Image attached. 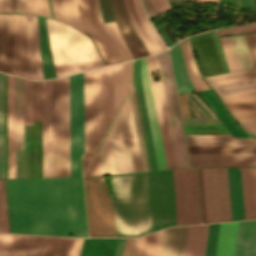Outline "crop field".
Wrapping results in <instances>:
<instances>
[{"label": "crop field", "mask_w": 256, "mask_h": 256, "mask_svg": "<svg viewBox=\"0 0 256 256\" xmlns=\"http://www.w3.org/2000/svg\"><path fill=\"white\" fill-rule=\"evenodd\" d=\"M135 2V6H136V10L138 13V16L144 26V28L146 29V31L148 32V34L151 36V38L153 39V41L155 42V44L158 46V48L161 50L165 49V46L163 45L162 41L160 40V38L158 37V35L155 33L153 27L151 26L149 20L147 19L140 0H134Z\"/></svg>", "instance_id": "crop-field-46"}, {"label": "crop field", "mask_w": 256, "mask_h": 256, "mask_svg": "<svg viewBox=\"0 0 256 256\" xmlns=\"http://www.w3.org/2000/svg\"><path fill=\"white\" fill-rule=\"evenodd\" d=\"M110 2L116 23L134 58L149 55L132 28L124 0H110Z\"/></svg>", "instance_id": "crop-field-17"}, {"label": "crop field", "mask_w": 256, "mask_h": 256, "mask_svg": "<svg viewBox=\"0 0 256 256\" xmlns=\"http://www.w3.org/2000/svg\"><path fill=\"white\" fill-rule=\"evenodd\" d=\"M238 222L220 223L215 256H233Z\"/></svg>", "instance_id": "crop-field-34"}, {"label": "crop field", "mask_w": 256, "mask_h": 256, "mask_svg": "<svg viewBox=\"0 0 256 256\" xmlns=\"http://www.w3.org/2000/svg\"><path fill=\"white\" fill-rule=\"evenodd\" d=\"M46 22L57 77L104 65L86 34L60 21Z\"/></svg>", "instance_id": "crop-field-4"}, {"label": "crop field", "mask_w": 256, "mask_h": 256, "mask_svg": "<svg viewBox=\"0 0 256 256\" xmlns=\"http://www.w3.org/2000/svg\"><path fill=\"white\" fill-rule=\"evenodd\" d=\"M234 256H256V221L239 222Z\"/></svg>", "instance_id": "crop-field-26"}, {"label": "crop field", "mask_w": 256, "mask_h": 256, "mask_svg": "<svg viewBox=\"0 0 256 256\" xmlns=\"http://www.w3.org/2000/svg\"><path fill=\"white\" fill-rule=\"evenodd\" d=\"M240 124L244 127V129L256 134V119L242 121V122H240Z\"/></svg>", "instance_id": "crop-field-70"}, {"label": "crop field", "mask_w": 256, "mask_h": 256, "mask_svg": "<svg viewBox=\"0 0 256 256\" xmlns=\"http://www.w3.org/2000/svg\"><path fill=\"white\" fill-rule=\"evenodd\" d=\"M8 178H15L14 76L7 75Z\"/></svg>", "instance_id": "crop-field-22"}, {"label": "crop field", "mask_w": 256, "mask_h": 256, "mask_svg": "<svg viewBox=\"0 0 256 256\" xmlns=\"http://www.w3.org/2000/svg\"><path fill=\"white\" fill-rule=\"evenodd\" d=\"M102 175L98 149L83 154V176Z\"/></svg>", "instance_id": "crop-field-41"}, {"label": "crop field", "mask_w": 256, "mask_h": 256, "mask_svg": "<svg viewBox=\"0 0 256 256\" xmlns=\"http://www.w3.org/2000/svg\"><path fill=\"white\" fill-rule=\"evenodd\" d=\"M184 43H185L187 53H188V56H189V59H190L191 65H192V69H193V72H194V75H195L196 79L200 83L203 90L208 89L209 88L208 85L203 81V79L201 78V76H200V74H199V72H198V70L195 66L192 51H191L190 44H189V40L184 41Z\"/></svg>", "instance_id": "crop-field-59"}, {"label": "crop field", "mask_w": 256, "mask_h": 256, "mask_svg": "<svg viewBox=\"0 0 256 256\" xmlns=\"http://www.w3.org/2000/svg\"><path fill=\"white\" fill-rule=\"evenodd\" d=\"M153 231L177 225L172 170L147 172Z\"/></svg>", "instance_id": "crop-field-7"}, {"label": "crop field", "mask_w": 256, "mask_h": 256, "mask_svg": "<svg viewBox=\"0 0 256 256\" xmlns=\"http://www.w3.org/2000/svg\"><path fill=\"white\" fill-rule=\"evenodd\" d=\"M254 31H256V24L226 28V29L215 31V33L217 36H221V35H229V34H237V33H245V32H254Z\"/></svg>", "instance_id": "crop-field-56"}, {"label": "crop field", "mask_w": 256, "mask_h": 256, "mask_svg": "<svg viewBox=\"0 0 256 256\" xmlns=\"http://www.w3.org/2000/svg\"><path fill=\"white\" fill-rule=\"evenodd\" d=\"M90 236H115L112 197L103 176L84 178Z\"/></svg>", "instance_id": "crop-field-6"}, {"label": "crop field", "mask_w": 256, "mask_h": 256, "mask_svg": "<svg viewBox=\"0 0 256 256\" xmlns=\"http://www.w3.org/2000/svg\"><path fill=\"white\" fill-rule=\"evenodd\" d=\"M126 2V6H127V10H128V14L130 16V19H131V22L133 24V27L136 31V33L138 34V36L140 37V39L142 40V42L144 43V45L146 46V48L148 49V51L150 52V54H154V51L152 50V48L150 47V45L148 44V42L146 41V39L144 38V36L142 35V33L140 32V30L138 29L134 19H133V16L131 14V10H130V5H129V1L128 0H125Z\"/></svg>", "instance_id": "crop-field-63"}, {"label": "crop field", "mask_w": 256, "mask_h": 256, "mask_svg": "<svg viewBox=\"0 0 256 256\" xmlns=\"http://www.w3.org/2000/svg\"><path fill=\"white\" fill-rule=\"evenodd\" d=\"M0 17H1V14H0Z\"/></svg>", "instance_id": "crop-field-85"}, {"label": "crop field", "mask_w": 256, "mask_h": 256, "mask_svg": "<svg viewBox=\"0 0 256 256\" xmlns=\"http://www.w3.org/2000/svg\"><path fill=\"white\" fill-rule=\"evenodd\" d=\"M221 99L237 121L256 118V91L223 96Z\"/></svg>", "instance_id": "crop-field-21"}, {"label": "crop field", "mask_w": 256, "mask_h": 256, "mask_svg": "<svg viewBox=\"0 0 256 256\" xmlns=\"http://www.w3.org/2000/svg\"><path fill=\"white\" fill-rule=\"evenodd\" d=\"M218 39H219L220 45L222 47V50H223L226 62L228 64L229 70L230 71L236 70L235 66H234V63H233V60H232V57H231V53H230L226 38L221 37V38H218Z\"/></svg>", "instance_id": "crop-field-62"}, {"label": "crop field", "mask_w": 256, "mask_h": 256, "mask_svg": "<svg viewBox=\"0 0 256 256\" xmlns=\"http://www.w3.org/2000/svg\"><path fill=\"white\" fill-rule=\"evenodd\" d=\"M51 1H52L55 18L70 24L65 0H51Z\"/></svg>", "instance_id": "crop-field-55"}, {"label": "crop field", "mask_w": 256, "mask_h": 256, "mask_svg": "<svg viewBox=\"0 0 256 256\" xmlns=\"http://www.w3.org/2000/svg\"><path fill=\"white\" fill-rule=\"evenodd\" d=\"M208 224L188 226L184 256H204Z\"/></svg>", "instance_id": "crop-field-32"}, {"label": "crop field", "mask_w": 256, "mask_h": 256, "mask_svg": "<svg viewBox=\"0 0 256 256\" xmlns=\"http://www.w3.org/2000/svg\"><path fill=\"white\" fill-rule=\"evenodd\" d=\"M67 3V8L69 12V17L72 26L76 27L80 31L84 33H88L87 28L84 24V21L82 19L81 11H80V6H79V1L78 0H66Z\"/></svg>", "instance_id": "crop-field-43"}, {"label": "crop field", "mask_w": 256, "mask_h": 256, "mask_svg": "<svg viewBox=\"0 0 256 256\" xmlns=\"http://www.w3.org/2000/svg\"><path fill=\"white\" fill-rule=\"evenodd\" d=\"M178 225L200 223L195 168L173 170Z\"/></svg>", "instance_id": "crop-field-11"}, {"label": "crop field", "mask_w": 256, "mask_h": 256, "mask_svg": "<svg viewBox=\"0 0 256 256\" xmlns=\"http://www.w3.org/2000/svg\"><path fill=\"white\" fill-rule=\"evenodd\" d=\"M207 2L219 3V0H207Z\"/></svg>", "instance_id": "crop-field-80"}, {"label": "crop field", "mask_w": 256, "mask_h": 256, "mask_svg": "<svg viewBox=\"0 0 256 256\" xmlns=\"http://www.w3.org/2000/svg\"><path fill=\"white\" fill-rule=\"evenodd\" d=\"M198 173H199V184H200V196H201L202 218H203V223H205V222H206V217H205V206H204V195H203V184H202L201 168H198Z\"/></svg>", "instance_id": "crop-field-69"}, {"label": "crop field", "mask_w": 256, "mask_h": 256, "mask_svg": "<svg viewBox=\"0 0 256 256\" xmlns=\"http://www.w3.org/2000/svg\"><path fill=\"white\" fill-rule=\"evenodd\" d=\"M24 125H32V81L24 79Z\"/></svg>", "instance_id": "crop-field-45"}, {"label": "crop field", "mask_w": 256, "mask_h": 256, "mask_svg": "<svg viewBox=\"0 0 256 256\" xmlns=\"http://www.w3.org/2000/svg\"><path fill=\"white\" fill-rule=\"evenodd\" d=\"M219 96L256 90V78L231 83L213 85Z\"/></svg>", "instance_id": "crop-field-38"}, {"label": "crop field", "mask_w": 256, "mask_h": 256, "mask_svg": "<svg viewBox=\"0 0 256 256\" xmlns=\"http://www.w3.org/2000/svg\"><path fill=\"white\" fill-rule=\"evenodd\" d=\"M44 237L30 235L25 256H40Z\"/></svg>", "instance_id": "crop-field-54"}, {"label": "crop field", "mask_w": 256, "mask_h": 256, "mask_svg": "<svg viewBox=\"0 0 256 256\" xmlns=\"http://www.w3.org/2000/svg\"><path fill=\"white\" fill-rule=\"evenodd\" d=\"M253 3H254V7L256 9V0H253ZM240 4L242 7L244 4V7L252 8L251 0H243V4H242V0H240Z\"/></svg>", "instance_id": "crop-field-76"}, {"label": "crop field", "mask_w": 256, "mask_h": 256, "mask_svg": "<svg viewBox=\"0 0 256 256\" xmlns=\"http://www.w3.org/2000/svg\"><path fill=\"white\" fill-rule=\"evenodd\" d=\"M151 1L153 3L154 9L157 15L171 9L167 0H151Z\"/></svg>", "instance_id": "crop-field-66"}, {"label": "crop field", "mask_w": 256, "mask_h": 256, "mask_svg": "<svg viewBox=\"0 0 256 256\" xmlns=\"http://www.w3.org/2000/svg\"><path fill=\"white\" fill-rule=\"evenodd\" d=\"M85 152L97 145L96 70L84 73Z\"/></svg>", "instance_id": "crop-field-15"}, {"label": "crop field", "mask_w": 256, "mask_h": 256, "mask_svg": "<svg viewBox=\"0 0 256 256\" xmlns=\"http://www.w3.org/2000/svg\"><path fill=\"white\" fill-rule=\"evenodd\" d=\"M15 0H2V12L14 13Z\"/></svg>", "instance_id": "crop-field-71"}, {"label": "crop field", "mask_w": 256, "mask_h": 256, "mask_svg": "<svg viewBox=\"0 0 256 256\" xmlns=\"http://www.w3.org/2000/svg\"><path fill=\"white\" fill-rule=\"evenodd\" d=\"M162 27L164 28V30L166 31V33L168 34L169 38L171 39V41L174 43H176V39L173 36V34L171 33V31L168 29V27L166 25H162ZM161 26H158V30L160 31V33L162 34V36L164 37L165 41L167 42L168 46L172 45V42L170 41V39L168 38V36L166 35L165 31L163 30Z\"/></svg>", "instance_id": "crop-field-68"}, {"label": "crop field", "mask_w": 256, "mask_h": 256, "mask_svg": "<svg viewBox=\"0 0 256 256\" xmlns=\"http://www.w3.org/2000/svg\"><path fill=\"white\" fill-rule=\"evenodd\" d=\"M190 156H256V153H189ZM193 167L256 166V157H191Z\"/></svg>", "instance_id": "crop-field-19"}, {"label": "crop field", "mask_w": 256, "mask_h": 256, "mask_svg": "<svg viewBox=\"0 0 256 256\" xmlns=\"http://www.w3.org/2000/svg\"><path fill=\"white\" fill-rule=\"evenodd\" d=\"M98 149L103 175L143 171L129 95Z\"/></svg>", "instance_id": "crop-field-3"}, {"label": "crop field", "mask_w": 256, "mask_h": 256, "mask_svg": "<svg viewBox=\"0 0 256 256\" xmlns=\"http://www.w3.org/2000/svg\"><path fill=\"white\" fill-rule=\"evenodd\" d=\"M128 91V62L97 70L98 142Z\"/></svg>", "instance_id": "crop-field-5"}, {"label": "crop field", "mask_w": 256, "mask_h": 256, "mask_svg": "<svg viewBox=\"0 0 256 256\" xmlns=\"http://www.w3.org/2000/svg\"><path fill=\"white\" fill-rule=\"evenodd\" d=\"M15 22H16V15H15ZM15 22H14V37H15ZM14 37H13V52H14ZM13 52H12V67H13ZM12 67H11V74H12Z\"/></svg>", "instance_id": "crop-field-79"}, {"label": "crop field", "mask_w": 256, "mask_h": 256, "mask_svg": "<svg viewBox=\"0 0 256 256\" xmlns=\"http://www.w3.org/2000/svg\"><path fill=\"white\" fill-rule=\"evenodd\" d=\"M13 74L21 76L20 15H17Z\"/></svg>", "instance_id": "crop-field-50"}, {"label": "crop field", "mask_w": 256, "mask_h": 256, "mask_svg": "<svg viewBox=\"0 0 256 256\" xmlns=\"http://www.w3.org/2000/svg\"><path fill=\"white\" fill-rule=\"evenodd\" d=\"M187 226L165 230L161 256H183Z\"/></svg>", "instance_id": "crop-field-28"}, {"label": "crop field", "mask_w": 256, "mask_h": 256, "mask_svg": "<svg viewBox=\"0 0 256 256\" xmlns=\"http://www.w3.org/2000/svg\"><path fill=\"white\" fill-rule=\"evenodd\" d=\"M207 222L231 220L226 168H202Z\"/></svg>", "instance_id": "crop-field-9"}, {"label": "crop field", "mask_w": 256, "mask_h": 256, "mask_svg": "<svg viewBox=\"0 0 256 256\" xmlns=\"http://www.w3.org/2000/svg\"><path fill=\"white\" fill-rule=\"evenodd\" d=\"M83 17L101 15L98 0H79ZM107 65L122 62L101 16L83 18Z\"/></svg>", "instance_id": "crop-field-14"}, {"label": "crop field", "mask_w": 256, "mask_h": 256, "mask_svg": "<svg viewBox=\"0 0 256 256\" xmlns=\"http://www.w3.org/2000/svg\"><path fill=\"white\" fill-rule=\"evenodd\" d=\"M31 78L43 79L37 20L35 15H25Z\"/></svg>", "instance_id": "crop-field-20"}, {"label": "crop field", "mask_w": 256, "mask_h": 256, "mask_svg": "<svg viewBox=\"0 0 256 256\" xmlns=\"http://www.w3.org/2000/svg\"><path fill=\"white\" fill-rule=\"evenodd\" d=\"M188 95L197 104V106L205 113L206 116H210L208 112L202 107V105L193 97V95L191 94H188ZM178 97H179L183 118H189L185 95H178Z\"/></svg>", "instance_id": "crop-field-58"}, {"label": "crop field", "mask_w": 256, "mask_h": 256, "mask_svg": "<svg viewBox=\"0 0 256 256\" xmlns=\"http://www.w3.org/2000/svg\"><path fill=\"white\" fill-rule=\"evenodd\" d=\"M250 50L254 65L256 66V34L244 35Z\"/></svg>", "instance_id": "crop-field-64"}, {"label": "crop field", "mask_w": 256, "mask_h": 256, "mask_svg": "<svg viewBox=\"0 0 256 256\" xmlns=\"http://www.w3.org/2000/svg\"><path fill=\"white\" fill-rule=\"evenodd\" d=\"M206 1V0H199V2Z\"/></svg>", "instance_id": "crop-field-84"}, {"label": "crop field", "mask_w": 256, "mask_h": 256, "mask_svg": "<svg viewBox=\"0 0 256 256\" xmlns=\"http://www.w3.org/2000/svg\"><path fill=\"white\" fill-rule=\"evenodd\" d=\"M130 5H131V10H132V14L134 16V19L139 27V29L141 30V32L143 33V35L145 36V38L147 39V41L149 42V44L151 45V47L153 48V50L155 51V53L159 52V49L157 48V46L154 44V42L152 41V39L150 38V36L147 34V32L145 31V29L143 28L141 22L138 19L136 10H135V6H134V2L133 0H130Z\"/></svg>", "instance_id": "crop-field-60"}, {"label": "crop field", "mask_w": 256, "mask_h": 256, "mask_svg": "<svg viewBox=\"0 0 256 256\" xmlns=\"http://www.w3.org/2000/svg\"><path fill=\"white\" fill-rule=\"evenodd\" d=\"M190 1H195V2H198V0H190Z\"/></svg>", "instance_id": "crop-field-83"}, {"label": "crop field", "mask_w": 256, "mask_h": 256, "mask_svg": "<svg viewBox=\"0 0 256 256\" xmlns=\"http://www.w3.org/2000/svg\"><path fill=\"white\" fill-rule=\"evenodd\" d=\"M14 15L2 14L0 23V71L10 74Z\"/></svg>", "instance_id": "crop-field-24"}, {"label": "crop field", "mask_w": 256, "mask_h": 256, "mask_svg": "<svg viewBox=\"0 0 256 256\" xmlns=\"http://www.w3.org/2000/svg\"><path fill=\"white\" fill-rule=\"evenodd\" d=\"M29 235L13 236L9 256H24Z\"/></svg>", "instance_id": "crop-field-51"}, {"label": "crop field", "mask_w": 256, "mask_h": 256, "mask_svg": "<svg viewBox=\"0 0 256 256\" xmlns=\"http://www.w3.org/2000/svg\"><path fill=\"white\" fill-rule=\"evenodd\" d=\"M22 76L30 78L24 15H21Z\"/></svg>", "instance_id": "crop-field-49"}, {"label": "crop field", "mask_w": 256, "mask_h": 256, "mask_svg": "<svg viewBox=\"0 0 256 256\" xmlns=\"http://www.w3.org/2000/svg\"><path fill=\"white\" fill-rule=\"evenodd\" d=\"M221 2H223V3H224V0H221ZM225 3H227V0H225Z\"/></svg>", "instance_id": "crop-field-81"}, {"label": "crop field", "mask_w": 256, "mask_h": 256, "mask_svg": "<svg viewBox=\"0 0 256 256\" xmlns=\"http://www.w3.org/2000/svg\"><path fill=\"white\" fill-rule=\"evenodd\" d=\"M142 1L144 3V6L146 8V11H147L150 19L153 18L154 16H156L151 1L150 0H142Z\"/></svg>", "instance_id": "crop-field-73"}, {"label": "crop field", "mask_w": 256, "mask_h": 256, "mask_svg": "<svg viewBox=\"0 0 256 256\" xmlns=\"http://www.w3.org/2000/svg\"><path fill=\"white\" fill-rule=\"evenodd\" d=\"M202 98L209 104V106L218 115L230 133L236 137H250L236 124V122L229 116L225 108L220 104L214 96L211 89L199 92Z\"/></svg>", "instance_id": "crop-field-33"}, {"label": "crop field", "mask_w": 256, "mask_h": 256, "mask_svg": "<svg viewBox=\"0 0 256 256\" xmlns=\"http://www.w3.org/2000/svg\"><path fill=\"white\" fill-rule=\"evenodd\" d=\"M118 238H84L80 256H114Z\"/></svg>", "instance_id": "crop-field-31"}, {"label": "crop field", "mask_w": 256, "mask_h": 256, "mask_svg": "<svg viewBox=\"0 0 256 256\" xmlns=\"http://www.w3.org/2000/svg\"><path fill=\"white\" fill-rule=\"evenodd\" d=\"M16 149H23V79L15 76Z\"/></svg>", "instance_id": "crop-field-36"}, {"label": "crop field", "mask_w": 256, "mask_h": 256, "mask_svg": "<svg viewBox=\"0 0 256 256\" xmlns=\"http://www.w3.org/2000/svg\"><path fill=\"white\" fill-rule=\"evenodd\" d=\"M163 232L136 238L133 256H160Z\"/></svg>", "instance_id": "crop-field-35"}, {"label": "crop field", "mask_w": 256, "mask_h": 256, "mask_svg": "<svg viewBox=\"0 0 256 256\" xmlns=\"http://www.w3.org/2000/svg\"><path fill=\"white\" fill-rule=\"evenodd\" d=\"M189 152H256V147H188Z\"/></svg>", "instance_id": "crop-field-48"}, {"label": "crop field", "mask_w": 256, "mask_h": 256, "mask_svg": "<svg viewBox=\"0 0 256 256\" xmlns=\"http://www.w3.org/2000/svg\"><path fill=\"white\" fill-rule=\"evenodd\" d=\"M107 30L117 47L123 61L133 59V56L124 42L115 22L106 24Z\"/></svg>", "instance_id": "crop-field-40"}, {"label": "crop field", "mask_w": 256, "mask_h": 256, "mask_svg": "<svg viewBox=\"0 0 256 256\" xmlns=\"http://www.w3.org/2000/svg\"><path fill=\"white\" fill-rule=\"evenodd\" d=\"M0 179H4L3 74L0 73Z\"/></svg>", "instance_id": "crop-field-44"}, {"label": "crop field", "mask_w": 256, "mask_h": 256, "mask_svg": "<svg viewBox=\"0 0 256 256\" xmlns=\"http://www.w3.org/2000/svg\"><path fill=\"white\" fill-rule=\"evenodd\" d=\"M246 219L256 218V168H241Z\"/></svg>", "instance_id": "crop-field-27"}, {"label": "crop field", "mask_w": 256, "mask_h": 256, "mask_svg": "<svg viewBox=\"0 0 256 256\" xmlns=\"http://www.w3.org/2000/svg\"><path fill=\"white\" fill-rule=\"evenodd\" d=\"M23 1L24 0L15 1V13H23Z\"/></svg>", "instance_id": "crop-field-75"}, {"label": "crop field", "mask_w": 256, "mask_h": 256, "mask_svg": "<svg viewBox=\"0 0 256 256\" xmlns=\"http://www.w3.org/2000/svg\"><path fill=\"white\" fill-rule=\"evenodd\" d=\"M13 234L0 233V256H8Z\"/></svg>", "instance_id": "crop-field-61"}, {"label": "crop field", "mask_w": 256, "mask_h": 256, "mask_svg": "<svg viewBox=\"0 0 256 256\" xmlns=\"http://www.w3.org/2000/svg\"><path fill=\"white\" fill-rule=\"evenodd\" d=\"M227 38H228V41H229V44H230V47H231V50H232V54H233L237 69L240 70L237 59H236V56H235V53H234V50H233V47H232V44H231V41H230V38L229 37H227Z\"/></svg>", "instance_id": "crop-field-78"}, {"label": "crop field", "mask_w": 256, "mask_h": 256, "mask_svg": "<svg viewBox=\"0 0 256 256\" xmlns=\"http://www.w3.org/2000/svg\"><path fill=\"white\" fill-rule=\"evenodd\" d=\"M134 238H128L124 256H130Z\"/></svg>", "instance_id": "crop-field-74"}, {"label": "crop field", "mask_w": 256, "mask_h": 256, "mask_svg": "<svg viewBox=\"0 0 256 256\" xmlns=\"http://www.w3.org/2000/svg\"><path fill=\"white\" fill-rule=\"evenodd\" d=\"M178 168L189 167L168 50L158 54Z\"/></svg>", "instance_id": "crop-field-10"}, {"label": "crop field", "mask_w": 256, "mask_h": 256, "mask_svg": "<svg viewBox=\"0 0 256 256\" xmlns=\"http://www.w3.org/2000/svg\"><path fill=\"white\" fill-rule=\"evenodd\" d=\"M140 76L158 170L165 169L145 58L140 59Z\"/></svg>", "instance_id": "crop-field-18"}, {"label": "crop field", "mask_w": 256, "mask_h": 256, "mask_svg": "<svg viewBox=\"0 0 256 256\" xmlns=\"http://www.w3.org/2000/svg\"><path fill=\"white\" fill-rule=\"evenodd\" d=\"M240 68H249V67H253V62L250 56V53L248 51L245 39L243 35L240 36H233L230 37Z\"/></svg>", "instance_id": "crop-field-39"}, {"label": "crop field", "mask_w": 256, "mask_h": 256, "mask_svg": "<svg viewBox=\"0 0 256 256\" xmlns=\"http://www.w3.org/2000/svg\"><path fill=\"white\" fill-rule=\"evenodd\" d=\"M127 238H119L115 256H123Z\"/></svg>", "instance_id": "crop-field-72"}, {"label": "crop field", "mask_w": 256, "mask_h": 256, "mask_svg": "<svg viewBox=\"0 0 256 256\" xmlns=\"http://www.w3.org/2000/svg\"><path fill=\"white\" fill-rule=\"evenodd\" d=\"M10 232L87 236L82 178L5 180Z\"/></svg>", "instance_id": "crop-field-1"}, {"label": "crop field", "mask_w": 256, "mask_h": 256, "mask_svg": "<svg viewBox=\"0 0 256 256\" xmlns=\"http://www.w3.org/2000/svg\"><path fill=\"white\" fill-rule=\"evenodd\" d=\"M116 236L152 231L146 172L111 176Z\"/></svg>", "instance_id": "crop-field-2"}, {"label": "crop field", "mask_w": 256, "mask_h": 256, "mask_svg": "<svg viewBox=\"0 0 256 256\" xmlns=\"http://www.w3.org/2000/svg\"><path fill=\"white\" fill-rule=\"evenodd\" d=\"M83 238L45 237L41 256H79Z\"/></svg>", "instance_id": "crop-field-23"}, {"label": "crop field", "mask_w": 256, "mask_h": 256, "mask_svg": "<svg viewBox=\"0 0 256 256\" xmlns=\"http://www.w3.org/2000/svg\"><path fill=\"white\" fill-rule=\"evenodd\" d=\"M147 66L149 71L150 83L152 88V94L154 99L155 111L157 116V122L159 127L160 139L162 144V150L164 155L166 169L177 168L175 154L173 149L171 131L169 126L168 114L166 109L165 97L163 92L161 74L159 69L157 55L147 57ZM158 69L160 75V81H153L151 74L154 71L155 78H157L156 70Z\"/></svg>", "instance_id": "crop-field-13"}, {"label": "crop field", "mask_w": 256, "mask_h": 256, "mask_svg": "<svg viewBox=\"0 0 256 256\" xmlns=\"http://www.w3.org/2000/svg\"><path fill=\"white\" fill-rule=\"evenodd\" d=\"M0 12H1V0H0Z\"/></svg>", "instance_id": "crop-field-82"}, {"label": "crop field", "mask_w": 256, "mask_h": 256, "mask_svg": "<svg viewBox=\"0 0 256 256\" xmlns=\"http://www.w3.org/2000/svg\"><path fill=\"white\" fill-rule=\"evenodd\" d=\"M188 139H256L231 135H187ZM188 146H256V140H187Z\"/></svg>", "instance_id": "crop-field-30"}, {"label": "crop field", "mask_w": 256, "mask_h": 256, "mask_svg": "<svg viewBox=\"0 0 256 256\" xmlns=\"http://www.w3.org/2000/svg\"><path fill=\"white\" fill-rule=\"evenodd\" d=\"M256 77V69L204 78L210 85Z\"/></svg>", "instance_id": "crop-field-42"}, {"label": "crop field", "mask_w": 256, "mask_h": 256, "mask_svg": "<svg viewBox=\"0 0 256 256\" xmlns=\"http://www.w3.org/2000/svg\"><path fill=\"white\" fill-rule=\"evenodd\" d=\"M0 232H9L4 180H0Z\"/></svg>", "instance_id": "crop-field-47"}, {"label": "crop field", "mask_w": 256, "mask_h": 256, "mask_svg": "<svg viewBox=\"0 0 256 256\" xmlns=\"http://www.w3.org/2000/svg\"><path fill=\"white\" fill-rule=\"evenodd\" d=\"M219 223L209 224L205 256H214Z\"/></svg>", "instance_id": "crop-field-53"}, {"label": "crop field", "mask_w": 256, "mask_h": 256, "mask_svg": "<svg viewBox=\"0 0 256 256\" xmlns=\"http://www.w3.org/2000/svg\"><path fill=\"white\" fill-rule=\"evenodd\" d=\"M32 13L51 18L48 1L32 0Z\"/></svg>", "instance_id": "crop-field-57"}, {"label": "crop field", "mask_w": 256, "mask_h": 256, "mask_svg": "<svg viewBox=\"0 0 256 256\" xmlns=\"http://www.w3.org/2000/svg\"><path fill=\"white\" fill-rule=\"evenodd\" d=\"M71 176H81L84 152L83 73L70 76Z\"/></svg>", "instance_id": "crop-field-12"}, {"label": "crop field", "mask_w": 256, "mask_h": 256, "mask_svg": "<svg viewBox=\"0 0 256 256\" xmlns=\"http://www.w3.org/2000/svg\"><path fill=\"white\" fill-rule=\"evenodd\" d=\"M33 121H41V81H33Z\"/></svg>", "instance_id": "crop-field-52"}, {"label": "crop field", "mask_w": 256, "mask_h": 256, "mask_svg": "<svg viewBox=\"0 0 256 256\" xmlns=\"http://www.w3.org/2000/svg\"><path fill=\"white\" fill-rule=\"evenodd\" d=\"M180 45H181V49H182V52H183V55H184L186 66H187V69H188V72H189V76H190L193 84L195 85L197 91H200V90H202V88L200 87V85L198 84L197 80L195 79V77L193 75V72H192L191 65H190V62H189V59H188V56H187V53H186V49H185L184 43L182 42V43H180Z\"/></svg>", "instance_id": "crop-field-65"}, {"label": "crop field", "mask_w": 256, "mask_h": 256, "mask_svg": "<svg viewBox=\"0 0 256 256\" xmlns=\"http://www.w3.org/2000/svg\"><path fill=\"white\" fill-rule=\"evenodd\" d=\"M53 177L67 176L66 77L52 80Z\"/></svg>", "instance_id": "crop-field-8"}, {"label": "crop field", "mask_w": 256, "mask_h": 256, "mask_svg": "<svg viewBox=\"0 0 256 256\" xmlns=\"http://www.w3.org/2000/svg\"><path fill=\"white\" fill-rule=\"evenodd\" d=\"M232 220L245 219L240 168H227Z\"/></svg>", "instance_id": "crop-field-25"}, {"label": "crop field", "mask_w": 256, "mask_h": 256, "mask_svg": "<svg viewBox=\"0 0 256 256\" xmlns=\"http://www.w3.org/2000/svg\"><path fill=\"white\" fill-rule=\"evenodd\" d=\"M37 20L44 79L53 78L56 76L48 50L45 18L37 16Z\"/></svg>", "instance_id": "crop-field-37"}, {"label": "crop field", "mask_w": 256, "mask_h": 256, "mask_svg": "<svg viewBox=\"0 0 256 256\" xmlns=\"http://www.w3.org/2000/svg\"><path fill=\"white\" fill-rule=\"evenodd\" d=\"M67 113H68V176H70L69 76L67 77Z\"/></svg>", "instance_id": "crop-field-67"}, {"label": "crop field", "mask_w": 256, "mask_h": 256, "mask_svg": "<svg viewBox=\"0 0 256 256\" xmlns=\"http://www.w3.org/2000/svg\"><path fill=\"white\" fill-rule=\"evenodd\" d=\"M43 177H52L51 80L42 81Z\"/></svg>", "instance_id": "crop-field-16"}, {"label": "crop field", "mask_w": 256, "mask_h": 256, "mask_svg": "<svg viewBox=\"0 0 256 256\" xmlns=\"http://www.w3.org/2000/svg\"><path fill=\"white\" fill-rule=\"evenodd\" d=\"M170 52L178 93L196 92V89L188 76L180 45L178 44L174 48L170 49Z\"/></svg>", "instance_id": "crop-field-29"}, {"label": "crop field", "mask_w": 256, "mask_h": 256, "mask_svg": "<svg viewBox=\"0 0 256 256\" xmlns=\"http://www.w3.org/2000/svg\"><path fill=\"white\" fill-rule=\"evenodd\" d=\"M24 13H31V0L24 1Z\"/></svg>", "instance_id": "crop-field-77"}]
</instances>
